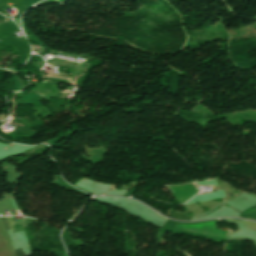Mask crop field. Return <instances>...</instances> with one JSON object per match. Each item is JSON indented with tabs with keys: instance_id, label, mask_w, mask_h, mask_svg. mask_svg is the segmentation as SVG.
I'll return each instance as SVG.
<instances>
[{
	"instance_id": "8a807250",
	"label": "crop field",
	"mask_w": 256,
	"mask_h": 256,
	"mask_svg": "<svg viewBox=\"0 0 256 256\" xmlns=\"http://www.w3.org/2000/svg\"><path fill=\"white\" fill-rule=\"evenodd\" d=\"M194 187L196 188L195 185ZM194 187L192 186V184H185L181 186H168V188L173 191L176 199H178L181 204L189 200L193 195L199 192L198 189L196 188L198 191L197 192Z\"/></svg>"
}]
</instances>
